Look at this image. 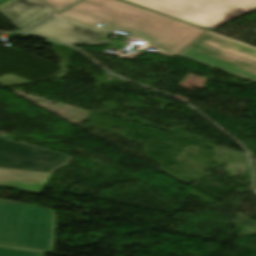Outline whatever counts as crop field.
<instances>
[{
	"label": "crop field",
	"mask_w": 256,
	"mask_h": 256,
	"mask_svg": "<svg viewBox=\"0 0 256 256\" xmlns=\"http://www.w3.org/2000/svg\"><path fill=\"white\" fill-rule=\"evenodd\" d=\"M59 15L107 30L146 39L158 49L178 53L205 30L117 0H83Z\"/></svg>",
	"instance_id": "8a807250"
},
{
	"label": "crop field",
	"mask_w": 256,
	"mask_h": 256,
	"mask_svg": "<svg viewBox=\"0 0 256 256\" xmlns=\"http://www.w3.org/2000/svg\"><path fill=\"white\" fill-rule=\"evenodd\" d=\"M56 216L51 209L0 199V245L53 251Z\"/></svg>",
	"instance_id": "ac0d7876"
},
{
	"label": "crop field",
	"mask_w": 256,
	"mask_h": 256,
	"mask_svg": "<svg viewBox=\"0 0 256 256\" xmlns=\"http://www.w3.org/2000/svg\"><path fill=\"white\" fill-rule=\"evenodd\" d=\"M178 55L256 81V48L206 31Z\"/></svg>",
	"instance_id": "34b2d1b8"
},
{
	"label": "crop field",
	"mask_w": 256,
	"mask_h": 256,
	"mask_svg": "<svg viewBox=\"0 0 256 256\" xmlns=\"http://www.w3.org/2000/svg\"><path fill=\"white\" fill-rule=\"evenodd\" d=\"M169 16L210 28L229 9L256 8V0H128Z\"/></svg>",
	"instance_id": "412701ff"
},
{
	"label": "crop field",
	"mask_w": 256,
	"mask_h": 256,
	"mask_svg": "<svg viewBox=\"0 0 256 256\" xmlns=\"http://www.w3.org/2000/svg\"><path fill=\"white\" fill-rule=\"evenodd\" d=\"M72 160L67 154L0 137V167L53 172Z\"/></svg>",
	"instance_id": "f4fd0767"
},
{
	"label": "crop field",
	"mask_w": 256,
	"mask_h": 256,
	"mask_svg": "<svg viewBox=\"0 0 256 256\" xmlns=\"http://www.w3.org/2000/svg\"><path fill=\"white\" fill-rule=\"evenodd\" d=\"M27 33L70 45H96L109 42L102 39L109 33L108 31L59 17H53Z\"/></svg>",
	"instance_id": "dd49c442"
},
{
	"label": "crop field",
	"mask_w": 256,
	"mask_h": 256,
	"mask_svg": "<svg viewBox=\"0 0 256 256\" xmlns=\"http://www.w3.org/2000/svg\"><path fill=\"white\" fill-rule=\"evenodd\" d=\"M0 13L21 30L56 13L42 0H16L0 9Z\"/></svg>",
	"instance_id": "e52e79f7"
},
{
	"label": "crop field",
	"mask_w": 256,
	"mask_h": 256,
	"mask_svg": "<svg viewBox=\"0 0 256 256\" xmlns=\"http://www.w3.org/2000/svg\"><path fill=\"white\" fill-rule=\"evenodd\" d=\"M51 173L0 168V187L40 194Z\"/></svg>",
	"instance_id": "d8731c3e"
},
{
	"label": "crop field",
	"mask_w": 256,
	"mask_h": 256,
	"mask_svg": "<svg viewBox=\"0 0 256 256\" xmlns=\"http://www.w3.org/2000/svg\"><path fill=\"white\" fill-rule=\"evenodd\" d=\"M0 256H43V253L0 248Z\"/></svg>",
	"instance_id": "5a996713"
},
{
	"label": "crop field",
	"mask_w": 256,
	"mask_h": 256,
	"mask_svg": "<svg viewBox=\"0 0 256 256\" xmlns=\"http://www.w3.org/2000/svg\"><path fill=\"white\" fill-rule=\"evenodd\" d=\"M254 9H238V10H229L228 12H226L225 14L228 15L227 18H225L224 20H222L221 22H219L218 24H216L215 26H213L212 28H215L223 23H226L234 18H237L245 13H248L250 11H252Z\"/></svg>",
	"instance_id": "3316defc"
},
{
	"label": "crop field",
	"mask_w": 256,
	"mask_h": 256,
	"mask_svg": "<svg viewBox=\"0 0 256 256\" xmlns=\"http://www.w3.org/2000/svg\"><path fill=\"white\" fill-rule=\"evenodd\" d=\"M56 10L60 11L78 0H44Z\"/></svg>",
	"instance_id": "28ad6ade"
},
{
	"label": "crop field",
	"mask_w": 256,
	"mask_h": 256,
	"mask_svg": "<svg viewBox=\"0 0 256 256\" xmlns=\"http://www.w3.org/2000/svg\"><path fill=\"white\" fill-rule=\"evenodd\" d=\"M14 0H0V8L13 2Z\"/></svg>",
	"instance_id": "d1516ede"
},
{
	"label": "crop field",
	"mask_w": 256,
	"mask_h": 256,
	"mask_svg": "<svg viewBox=\"0 0 256 256\" xmlns=\"http://www.w3.org/2000/svg\"><path fill=\"white\" fill-rule=\"evenodd\" d=\"M157 53H160V54H163V55H166V56H173V55H175V54L164 52V51H161V50H159Z\"/></svg>",
	"instance_id": "22f410ed"
}]
</instances>
